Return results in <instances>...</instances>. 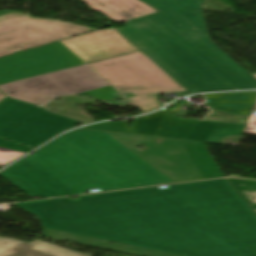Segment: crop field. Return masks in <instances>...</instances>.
Returning <instances> with one entry per match:
<instances>
[{"label":"crop field","instance_id":"obj_1","mask_svg":"<svg viewBox=\"0 0 256 256\" xmlns=\"http://www.w3.org/2000/svg\"><path fill=\"white\" fill-rule=\"evenodd\" d=\"M15 205L47 238L139 256H256V213L226 179Z\"/></svg>","mask_w":256,"mask_h":256},{"label":"crop field","instance_id":"obj_2","mask_svg":"<svg viewBox=\"0 0 256 256\" xmlns=\"http://www.w3.org/2000/svg\"><path fill=\"white\" fill-rule=\"evenodd\" d=\"M157 139L76 130L0 175L43 198L224 177L204 143ZM141 144L143 153L136 149Z\"/></svg>","mask_w":256,"mask_h":256},{"label":"crop field","instance_id":"obj_3","mask_svg":"<svg viewBox=\"0 0 256 256\" xmlns=\"http://www.w3.org/2000/svg\"><path fill=\"white\" fill-rule=\"evenodd\" d=\"M141 1L160 13L118 31L189 92L256 88V79L210 41L203 0Z\"/></svg>","mask_w":256,"mask_h":256},{"label":"crop field","instance_id":"obj_4","mask_svg":"<svg viewBox=\"0 0 256 256\" xmlns=\"http://www.w3.org/2000/svg\"><path fill=\"white\" fill-rule=\"evenodd\" d=\"M116 29L97 30L0 57V84L88 63L142 111L162 106L153 94L187 91Z\"/></svg>","mask_w":256,"mask_h":256},{"label":"crop field","instance_id":"obj_5","mask_svg":"<svg viewBox=\"0 0 256 256\" xmlns=\"http://www.w3.org/2000/svg\"><path fill=\"white\" fill-rule=\"evenodd\" d=\"M58 96L27 92L0 103V138L37 147L80 122L46 111L42 106Z\"/></svg>","mask_w":256,"mask_h":256},{"label":"crop field","instance_id":"obj_6","mask_svg":"<svg viewBox=\"0 0 256 256\" xmlns=\"http://www.w3.org/2000/svg\"><path fill=\"white\" fill-rule=\"evenodd\" d=\"M246 125L180 118L166 110L134 119L130 129L125 121L107 122L87 128L134 131L140 135L220 143L222 137L242 134Z\"/></svg>","mask_w":256,"mask_h":256},{"label":"crop field","instance_id":"obj_7","mask_svg":"<svg viewBox=\"0 0 256 256\" xmlns=\"http://www.w3.org/2000/svg\"><path fill=\"white\" fill-rule=\"evenodd\" d=\"M95 28L31 18L30 15L5 10L0 12V56L69 38Z\"/></svg>","mask_w":256,"mask_h":256},{"label":"crop field","instance_id":"obj_8","mask_svg":"<svg viewBox=\"0 0 256 256\" xmlns=\"http://www.w3.org/2000/svg\"><path fill=\"white\" fill-rule=\"evenodd\" d=\"M0 90L7 96L35 91L59 96L66 94L89 95L95 96L99 100L122 97L87 65L1 85Z\"/></svg>","mask_w":256,"mask_h":256},{"label":"crop field","instance_id":"obj_9","mask_svg":"<svg viewBox=\"0 0 256 256\" xmlns=\"http://www.w3.org/2000/svg\"><path fill=\"white\" fill-rule=\"evenodd\" d=\"M114 23H122L157 12L138 0H83Z\"/></svg>","mask_w":256,"mask_h":256},{"label":"crop field","instance_id":"obj_10","mask_svg":"<svg viewBox=\"0 0 256 256\" xmlns=\"http://www.w3.org/2000/svg\"><path fill=\"white\" fill-rule=\"evenodd\" d=\"M0 256H86L35 240L31 243L0 237Z\"/></svg>","mask_w":256,"mask_h":256},{"label":"crop field","instance_id":"obj_11","mask_svg":"<svg viewBox=\"0 0 256 256\" xmlns=\"http://www.w3.org/2000/svg\"><path fill=\"white\" fill-rule=\"evenodd\" d=\"M241 197L256 212V181L227 179Z\"/></svg>","mask_w":256,"mask_h":256},{"label":"crop field","instance_id":"obj_12","mask_svg":"<svg viewBox=\"0 0 256 256\" xmlns=\"http://www.w3.org/2000/svg\"><path fill=\"white\" fill-rule=\"evenodd\" d=\"M25 153L0 148V166L24 155ZM7 165V164H6ZM5 166V165H4ZM3 167V166H2Z\"/></svg>","mask_w":256,"mask_h":256},{"label":"crop field","instance_id":"obj_13","mask_svg":"<svg viewBox=\"0 0 256 256\" xmlns=\"http://www.w3.org/2000/svg\"><path fill=\"white\" fill-rule=\"evenodd\" d=\"M0 147L13 149V150H17V151H21V152H25V153H28L32 150V148L23 146L21 144L15 143V142L7 141L4 139H0Z\"/></svg>","mask_w":256,"mask_h":256},{"label":"crop field","instance_id":"obj_14","mask_svg":"<svg viewBox=\"0 0 256 256\" xmlns=\"http://www.w3.org/2000/svg\"><path fill=\"white\" fill-rule=\"evenodd\" d=\"M244 133L256 135V116L251 115Z\"/></svg>","mask_w":256,"mask_h":256},{"label":"crop field","instance_id":"obj_15","mask_svg":"<svg viewBox=\"0 0 256 256\" xmlns=\"http://www.w3.org/2000/svg\"><path fill=\"white\" fill-rule=\"evenodd\" d=\"M82 129H87V128H82ZM88 130H95V129H88ZM102 131H105V130H102ZM110 132L127 133V134H135V135L140 134V133H133V132H119V131H110Z\"/></svg>","mask_w":256,"mask_h":256},{"label":"crop field","instance_id":"obj_16","mask_svg":"<svg viewBox=\"0 0 256 256\" xmlns=\"http://www.w3.org/2000/svg\"><path fill=\"white\" fill-rule=\"evenodd\" d=\"M5 97H6V96L0 92V100H2V99L5 98Z\"/></svg>","mask_w":256,"mask_h":256},{"label":"crop field","instance_id":"obj_17","mask_svg":"<svg viewBox=\"0 0 256 256\" xmlns=\"http://www.w3.org/2000/svg\"><path fill=\"white\" fill-rule=\"evenodd\" d=\"M255 78H256V74L255 75H253Z\"/></svg>","mask_w":256,"mask_h":256}]
</instances>
